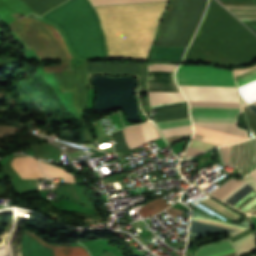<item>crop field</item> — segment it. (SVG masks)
<instances>
[{
	"mask_svg": "<svg viewBox=\"0 0 256 256\" xmlns=\"http://www.w3.org/2000/svg\"><path fill=\"white\" fill-rule=\"evenodd\" d=\"M255 60L256 36L214 0H210L183 62L232 66L250 64Z\"/></svg>",
	"mask_w": 256,
	"mask_h": 256,
	"instance_id": "obj_1",
	"label": "crop field"
},
{
	"mask_svg": "<svg viewBox=\"0 0 256 256\" xmlns=\"http://www.w3.org/2000/svg\"><path fill=\"white\" fill-rule=\"evenodd\" d=\"M166 3L94 7L105 34L108 59L147 60Z\"/></svg>",
	"mask_w": 256,
	"mask_h": 256,
	"instance_id": "obj_2",
	"label": "crop field"
},
{
	"mask_svg": "<svg viewBox=\"0 0 256 256\" xmlns=\"http://www.w3.org/2000/svg\"><path fill=\"white\" fill-rule=\"evenodd\" d=\"M65 33L79 58H106L105 43L97 15L87 0H69L41 16Z\"/></svg>",
	"mask_w": 256,
	"mask_h": 256,
	"instance_id": "obj_3",
	"label": "crop field"
},
{
	"mask_svg": "<svg viewBox=\"0 0 256 256\" xmlns=\"http://www.w3.org/2000/svg\"><path fill=\"white\" fill-rule=\"evenodd\" d=\"M207 0H172L154 46L187 47L206 9Z\"/></svg>",
	"mask_w": 256,
	"mask_h": 256,
	"instance_id": "obj_4",
	"label": "crop field"
},
{
	"mask_svg": "<svg viewBox=\"0 0 256 256\" xmlns=\"http://www.w3.org/2000/svg\"><path fill=\"white\" fill-rule=\"evenodd\" d=\"M27 49L40 59H61L62 65L44 67L46 72L70 70L68 53L60 33L50 25L24 17L9 24Z\"/></svg>",
	"mask_w": 256,
	"mask_h": 256,
	"instance_id": "obj_5",
	"label": "crop field"
},
{
	"mask_svg": "<svg viewBox=\"0 0 256 256\" xmlns=\"http://www.w3.org/2000/svg\"><path fill=\"white\" fill-rule=\"evenodd\" d=\"M220 150L224 163L232 164L239 170L242 177L246 176L238 145L224 146ZM240 180L250 187L239 180L231 179L212 194L226 202L249 187L226 203L245 213L254 215L256 213V170Z\"/></svg>",
	"mask_w": 256,
	"mask_h": 256,
	"instance_id": "obj_6",
	"label": "crop field"
},
{
	"mask_svg": "<svg viewBox=\"0 0 256 256\" xmlns=\"http://www.w3.org/2000/svg\"><path fill=\"white\" fill-rule=\"evenodd\" d=\"M176 79L178 84L236 86L231 70L206 66L180 65Z\"/></svg>",
	"mask_w": 256,
	"mask_h": 256,
	"instance_id": "obj_7",
	"label": "crop field"
},
{
	"mask_svg": "<svg viewBox=\"0 0 256 256\" xmlns=\"http://www.w3.org/2000/svg\"><path fill=\"white\" fill-rule=\"evenodd\" d=\"M25 234L37 239L43 246L47 247L52 256H89L87 251L81 246L54 247L46 244L42 238L34 235L28 230H25ZM25 234L22 240L24 256H51L48 249Z\"/></svg>",
	"mask_w": 256,
	"mask_h": 256,
	"instance_id": "obj_8",
	"label": "crop field"
},
{
	"mask_svg": "<svg viewBox=\"0 0 256 256\" xmlns=\"http://www.w3.org/2000/svg\"><path fill=\"white\" fill-rule=\"evenodd\" d=\"M193 125L196 127L208 128V129L219 130V131L247 136L246 131L236 128V124L193 123ZM196 127H194V131L205 133V137L202 135H199L202 133L195 134L196 133L195 132L193 138L198 140H203V137H204L203 141H206V142L226 145V144H232V143H236V142L248 139V137H245V136H239V135H234L229 133L196 128Z\"/></svg>",
	"mask_w": 256,
	"mask_h": 256,
	"instance_id": "obj_9",
	"label": "crop field"
},
{
	"mask_svg": "<svg viewBox=\"0 0 256 256\" xmlns=\"http://www.w3.org/2000/svg\"><path fill=\"white\" fill-rule=\"evenodd\" d=\"M62 91H74V105L78 111L85 110L87 62L71 72L55 73Z\"/></svg>",
	"mask_w": 256,
	"mask_h": 256,
	"instance_id": "obj_10",
	"label": "crop field"
},
{
	"mask_svg": "<svg viewBox=\"0 0 256 256\" xmlns=\"http://www.w3.org/2000/svg\"><path fill=\"white\" fill-rule=\"evenodd\" d=\"M253 245H255V242H254L253 234L251 233L233 243L229 238L221 241L209 243L201 247L200 249H198L193 256H215L218 254L230 252L233 250H237V249H241V248H245ZM255 249L256 247L254 246V247H250V248H246V249H242V250H238V251H234V252H230V253H226L218 256H242Z\"/></svg>",
	"mask_w": 256,
	"mask_h": 256,
	"instance_id": "obj_11",
	"label": "crop field"
},
{
	"mask_svg": "<svg viewBox=\"0 0 256 256\" xmlns=\"http://www.w3.org/2000/svg\"><path fill=\"white\" fill-rule=\"evenodd\" d=\"M190 225L217 233L225 232L229 237L249 227L246 220L237 225L212 219L194 210H192Z\"/></svg>",
	"mask_w": 256,
	"mask_h": 256,
	"instance_id": "obj_12",
	"label": "crop field"
},
{
	"mask_svg": "<svg viewBox=\"0 0 256 256\" xmlns=\"http://www.w3.org/2000/svg\"><path fill=\"white\" fill-rule=\"evenodd\" d=\"M226 7H253L256 8V0H219ZM253 8H228L238 17H256V9ZM248 26H256V18H240Z\"/></svg>",
	"mask_w": 256,
	"mask_h": 256,
	"instance_id": "obj_13",
	"label": "crop field"
},
{
	"mask_svg": "<svg viewBox=\"0 0 256 256\" xmlns=\"http://www.w3.org/2000/svg\"><path fill=\"white\" fill-rule=\"evenodd\" d=\"M11 166L17 171L21 178H45L36 162L30 156L16 157Z\"/></svg>",
	"mask_w": 256,
	"mask_h": 256,
	"instance_id": "obj_14",
	"label": "crop field"
},
{
	"mask_svg": "<svg viewBox=\"0 0 256 256\" xmlns=\"http://www.w3.org/2000/svg\"><path fill=\"white\" fill-rule=\"evenodd\" d=\"M185 48L154 47L150 59L181 60Z\"/></svg>",
	"mask_w": 256,
	"mask_h": 256,
	"instance_id": "obj_15",
	"label": "crop field"
},
{
	"mask_svg": "<svg viewBox=\"0 0 256 256\" xmlns=\"http://www.w3.org/2000/svg\"><path fill=\"white\" fill-rule=\"evenodd\" d=\"M28 6L35 14L41 16L47 10L57 6L66 0H21Z\"/></svg>",
	"mask_w": 256,
	"mask_h": 256,
	"instance_id": "obj_16",
	"label": "crop field"
},
{
	"mask_svg": "<svg viewBox=\"0 0 256 256\" xmlns=\"http://www.w3.org/2000/svg\"><path fill=\"white\" fill-rule=\"evenodd\" d=\"M40 164L46 177L48 178L62 177L64 182L74 183L73 176L66 173L63 169L47 164L42 161H40Z\"/></svg>",
	"mask_w": 256,
	"mask_h": 256,
	"instance_id": "obj_17",
	"label": "crop field"
},
{
	"mask_svg": "<svg viewBox=\"0 0 256 256\" xmlns=\"http://www.w3.org/2000/svg\"><path fill=\"white\" fill-rule=\"evenodd\" d=\"M169 206L170 205L167 204L162 197H160V198L146 204L143 208H141L139 210V212L142 215V217H146V216L156 214V213L166 209Z\"/></svg>",
	"mask_w": 256,
	"mask_h": 256,
	"instance_id": "obj_18",
	"label": "crop field"
},
{
	"mask_svg": "<svg viewBox=\"0 0 256 256\" xmlns=\"http://www.w3.org/2000/svg\"><path fill=\"white\" fill-rule=\"evenodd\" d=\"M217 146H219V145L201 142V141L193 139L191 141V143L189 144V146L187 147V149L184 153V156L189 157L192 155H196V154H199L203 151H206L208 149H211V148L217 147Z\"/></svg>",
	"mask_w": 256,
	"mask_h": 256,
	"instance_id": "obj_19",
	"label": "crop field"
},
{
	"mask_svg": "<svg viewBox=\"0 0 256 256\" xmlns=\"http://www.w3.org/2000/svg\"><path fill=\"white\" fill-rule=\"evenodd\" d=\"M93 6L101 5H116V4H130V3H145V2H160L167 0H90Z\"/></svg>",
	"mask_w": 256,
	"mask_h": 256,
	"instance_id": "obj_20",
	"label": "crop field"
},
{
	"mask_svg": "<svg viewBox=\"0 0 256 256\" xmlns=\"http://www.w3.org/2000/svg\"><path fill=\"white\" fill-rule=\"evenodd\" d=\"M256 87V81L239 88L240 94ZM242 103L256 99V88L240 95Z\"/></svg>",
	"mask_w": 256,
	"mask_h": 256,
	"instance_id": "obj_21",
	"label": "crop field"
},
{
	"mask_svg": "<svg viewBox=\"0 0 256 256\" xmlns=\"http://www.w3.org/2000/svg\"><path fill=\"white\" fill-rule=\"evenodd\" d=\"M250 218L252 219V221H253V223H254V226H255V228H256V217L251 216Z\"/></svg>",
	"mask_w": 256,
	"mask_h": 256,
	"instance_id": "obj_22",
	"label": "crop field"
},
{
	"mask_svg": "<svg viewBox=\"0 0 256 256\" xmlns=\"http://www.w3.org/2000/svg\"><path fill=\"white\" fill-rule=\"evenodd\" d=\"M138 223L140 224V226L145 225V223L143 221H139Z\"/></svg>",
	"mask_w": 256,
	"mask_h": 256,
	"instance_id": "obj_23",
	"label": "crop field"
}]
</instances>
